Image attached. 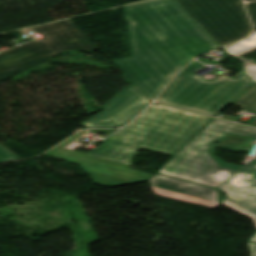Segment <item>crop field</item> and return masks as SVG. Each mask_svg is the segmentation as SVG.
Instances as JSON below:
<instances>
[{
    "label": "crop field",
    "instance_id": "1",
    "mask_svg": "<svg viewBox=\"0 0 256 256\" xmlns=\"http://www.w3.org/2000/svg\"><path fill=\"white\" fill-rule=\"evenodd\" d=\"M133 57L113 63L149 101L190 60L220 46L176 0L125 7Z\"/></svg>",
    "mask_w": 256,
    "mask_h": 256
},
{
    "label": "crop field",
    "instance_id": "2",
    "mask_svg": "<svg viewBox=\"0 0 256 256\" xmlns=\"http://www.w3.org/2000/svg\"><path fill=\"white\" fill-rule=\"evenodd\" d=\"M211 117L159 105L148 107L128 126L88 153L119 161L94 183L113 188L146 182L153 174L129 169L142 148L173 157Z\"/></svg>",
    "mask_w": 256,
    "mask_h": 256
},
{
    "label": "crop field",
    "instance_id": "3",
    "mask_svg": "<svg viewBox=\"0 0 256 256\" xmlns=\"http://www.w3.org/2000/svg\"><path fill=\"white\" fill-rule=\"evenodd\" d=\"M255 140L256 129L214 119L158 173L216 187L241 167L221 161L213 150L249 152Z\"/></svg>",
    "mask_w": 256,
    "mask_h": 256
},
{
    "label": "crop field",
    "instance_id": "4",
    "mask_svg": "<svg viewBox=\"0 0 256 256\" xmlns=\"http://www.w3.org/2000/svg\"><path fill=\"white\" fill-rule=\"evenodd\" d=\"M34 29L43 40L0 53V81L62 51L78 49L91 53L97 50L70 20Z\"/></svg>",
    "mask_w": 256,
    "mask_h": 256
},
{
    "label": "crop field",
    "instance_id": "5",
    "mask_svg": "<svg viewBox=\"0 0 256 256\" xmlns=\"http://www.w3.org/2000/svg\"><path fill=\"white\" fill-rule=\"evenodd\" d=\"M177 1L220 46L251 31L241 0Z\"/></svg>",
    "mask_w": 256,
    "mask_h": 256
},
{
    "label": "crop field",
    "instance_id": "6",
    "mask_svg": "<svg viewBox=\"0 0 256 256\" xmlns=\"http://www.w3.org/2000/svg\"><path fill=\"white\" fill-rule=\"evenodd\" d=\"M239 94L241 92L179 74L158 101L214 116Z\"/></svg>",
    "mask_w": 256,
    "mask_h": 256
},
{
    "label": "crop field",
    "instance_id": "7",
    "mask_svg": "<svg viewBox=\"0 0 256 256\" xmlns=\"http://www.w3.org/2000/svg\"><path fill=\"white\" fill-rule=\"evenodd\" d=\"M150 103L131 84L103 105L105 111L80 125L86 128H115L127 124Z\"/></svg>",
    "mask_w": 256,
    "mask_h": 256
},
{
    "label": "crop field",
    "instance_id": "8",
    "mask_svg": "<svg viewBox=\"0 0 256 256\" xmlns=\"http://www.w3.org/2000/svg\"><path fill=\"white\" fill-rule=\"evenodd\" d=\"M218 188L227 195L223 205L253 219L256 227V159Z\"/></svg>",
    "mask_w": 256,
    "mask_h": 256
},
{
    "label": "crop field",
    "instance_id": "9",
    "mask_svg": "<svg viewBox=\"0 0 256 256\" xmlns=\"http://www.w3.org/2000/svg\"><path fill=\"white\" fill-rule=\"evenodd\" d=\"M149 183L155 195L213 209L221 205L216 189L153 175Z\"/></svg>",
    "mask_w": 256,
    "mask_h": 256
},
{
    "label": "crop field",
    "instance_id": "10",
    "mask_svg": "<svg viewBox=\"0 0 256 256\" xmlns=\"http://www.w3.org/2000/svg\"><path fill=\"white\" fill-rule=\"evenodd\" d=\"M205 66L193 61L191 64H189L183 71L180 72V74H184L190 77H194L197 79H200L199 76L193 74L192 72L202 69ZM201 80V79H200ZM211 82L217 85H221L227 88H231L237 91L243 92L246 90L250 85H252V81L246 76V74L241 71L238 75H236L235 79H231L225 75H223L221 80H216V81H207Z\"/></svg>",
    "mask_w": 256,
    "mask_h": 256
},
{
    "label": "crop field",
    "instance_id": "11",
    "mask_svg": "<svg viewBox=\"0 0 256 256\" xmlns=\"http://www.w3.org/2000/svg\"><path fill=\"white\" fill-rule=\"evenodd\" d=\"M225 50L237 58L256 50V32L249 38L226 47ZM240 60L244 64L245 72L252 78L254 82H256V65L242 59Z\"/></svg>",
    "mask_w": 256,
    "mask_h": 256
},
{
    "label": "crop field",
    "instance_id": "12",
    "mask_svg": "<svg viewBox=\"0 0 256 256\" xmlns=\"http://www.w3.org/2000/svg\"><path fill=\"white\" fill-rule=\"evenodd\" d=\"M232 105L249 110L256 113V84L253 85L245 94L237 99ZM248 125L256 126V118Z\"/></svg>",
    "mask_w": 256,
    "mask_h": 256
},
{
    "label": "crop field",
    "instance_id": "13",
    "mask_svg": "<svg viewBox=\"0 0 256 256\" xmlns=\"http://www.w3.org/2000/svg\"><path fill=\"white\" fill-rule=\"evenodd\" d=\"M19 158L0 145V162L18 160Z\"/></svg>",
    "mask_w": 256,
    "mask_h": 256
},
{
    "label": "crop field",
    "instance_id": "14",
    "mask_svg": "<svg viewBox=\"0 0 256 256\" xmlns=\"http://www.w3.org/2000/svg\"><path fill=\"white\" fill-rule=\"evenodd\" d=\"M247 7L256 29V3L248 4Z\"/></svg>",
    "mask_w": 256,
    "mask_h": 256
},
{
    "label": "crop field",
    "instance_id": "15",
    "mask_svg": "<svg viewBox=\"0 0 256 256\" xmlns=\"http://www.w3.org/2000/svg\"><path fill=\"white\" fill-rule=\"evenodd\" d=\"M250 248L251 256H256V243H248Z\"/></svg>",
    "mask_w": 256,
    "mask_h": 256
},
{
    "label": "crop field",
    "instance_id": "16",
    "mask_svg": "<svg viewBox=\"0 0 256 256\" xmlns=\"http://www.w3.org/2000/svg\"><path fill=\"white\" fill-rule=\"evenodd\" d=\"M250 241L251 242H256V235Z\"/></svg>",
    "mask_w": 256,
    "mask_h": 256
},
{
    "label": "crop field",
    "instance_id": "17",
    "mask_svg": "<svg viewBox=\"0 0 256 256\" xmlns=\"http://www.w3.org/2000/svg\"><path fill=\"white\" fill-rule=\"evenodd\" d=\"M245 1H251V0H245Z\"/></svg>",
    "mask_w": 256,
    "mask_h": 256
}]
</instances>
